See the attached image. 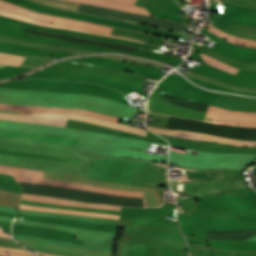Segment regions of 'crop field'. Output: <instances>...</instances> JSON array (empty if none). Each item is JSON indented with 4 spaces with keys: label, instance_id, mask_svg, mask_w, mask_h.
I'll return each instance as SVG.
<instances>
[{
    "label": "crop field",
    "instance_id": "crop-field-1",
    "mask_svg": "<svg viewBox=\"0 0 256 256\" xmlns=\"http://www.w3.org/2000/svg\"><path fill=\"white\" fill-rule=\"evenodd\" d=\"M33 115H43V116H53V117H63L70 118L90 123H95L123 131H128L132 133H137L141 135L147 134L146 130L138 129L130 126H126L119 123H114L106 120H101L93 117L75 115V114H59V113H33ZM0 119H9L16 120L22 122H30V123H38V124H46V125H54V126H62L65 127L67 119L62 118H52V117H42V116H32V115H18V114H8V113H0Z\"/></svg>",
    "mask_w": 256,
    "mask_h": 256
},
{
    "label": "crop field",
    "instance_id": "crop-field-2",
    "mask_svg": "<svg viewBox=\"0 0 256 256\" xmlns=\"http://www.w3.org/2000/svg\"><path fill=\"white\" fill-rule=\"evenodd\" d=\"M0 173L12 174V175H17V176L41 178L42 171H33V170H26V169H20V168H14V167L0 165ZM17 176H14V178L20 182L52 185V186L74 188V189L96 191V192L118 194V195H126V196H134V197H142V192L114 190V189L85 186V185H81V184L67 183V182H61V181H55V180L17 177Z\"/></svg>",
    "mask_w": 256,
    "mask_h": 256
},
{
    "label": "crop field",
    "instance_id": "crop-field-3",
    "mask_svg": "<svg viewBox=\"0 0 256 256\" xmlns=\"http://www.w3.org/2000/svg\"><path fill=\"white\" fill-rule=\"evenodd\" d=\"M0 13L7 14V15H10V16H14V17H17V18H21V19H24V20H27V21H31V22L40 24V25L60 27V28H66V29H71V30H76V31H82V32L97 34V35L109 36V35L95 33V32H91V31H87V30L67 27V26L42 23V22L30 19V18H26V17H23V16H19V15L13 14V13L6 12V11H3V10H0ZM3 14H0V20L6 21V22H10V23L20 24V25H23V26H26V27H30V28H34V29H38V30H41V31L63 33V34H69V35L85 37V38H91V39L102 40V41L124 43V44H129V45L137 46V47H140V48H141V45H142V43H139L140 41L139 42H133V41H136V40H133V41H127V40H131V39L121 40V39H126V38L115 39V38H120V37L109 38V37H114V36L103 37V36H97V35H92V34H87V33H81V32H76V31H71V30H66V29L40 26V25L31 23V22H27V21H24V20H21V19H17V18H14V17L3 15Z\"/></svg>",
    "mask_w": 256,
    "mask_h": 256
},
{
    "label": "crop field",
    "instance_id": "crop-field-4",
    "mask_svg": "<svg viewBox=\"0 0 256 256\" xmlns=\"http://www.w3.org/2000/svg\"><path fill=\"white\" fill-rule=\"evenodd\" d=\"M205 121L223 125L256 127V113L231 111L209 106Z\"/></svg>",
    "mask_w": 256,
    "mask_h": 256
},
{
    "label": "crop field",
    "instance_id": "crop-field-5",
    "mask_svg": "<svg viewBox=\"0 0 256 256\" xmlns=\"http://www.w3.org/2000/svg\"><path fill=\"white\" fill-rule=\"evenodd\" d=\"M0 137L61 145L69 148H74L79 141L78 138H73L69 136L51 135L42 132L13 131L5 129H0Z\"/></svg>",
    "mask_w": 256,
    "mask_h": 256
},
{
    "label": "crop field",
    "instance_id": "crop-field-6",
    "mask_svg": "<svg viewBox=\"0 0 256 256\" xmlns=\"http://www.w3.org/2000/svg\"><path fill=\"white\" fill-rule=\"evenodd\" d=\"M0 7L4 8V9H7V10L17 12V13H20V14H23V15H27V16H30V17H33V18H35L36 15L38 14V13L28 11L26 9H23V8L19 7V6H16V5L7 3V2H3V1H0ZM36 19L43 20V21L60 23V24H65V25H70V26H75V27L89 29V30H93V31H99V32L110 33L111 30H112L110 28L96 26V25H92V24L86 23V22H81V21H76V20H71V19H65V18H60V17H54V16H49V15H43V14H38Z\"/></svg>",
    "mask_w": 256,
    "mask_h": 256
},
{
    "label": "crop field",
    "instance_id": "crop-field-7",
    "mask_svg": "<svg viewBox=\"0 0 256 256\" xmlns=\"http://www.w3.org/2000/svg\"><path fill=\"white\" fill-rule=\"evenodd\" d=\"M24 246L34 251L46 252L63 256H112L113 253L68 248L51 244L19 240Z\"/></svg>",
    "mask_w": 256,
    "mask_h": 256
},
{
    "label": "crop field",
    "instance_id": "crop-field-8",
    "mask_svg": "<svg viewBox=\"0 0 256 256\" xmlns=\"http://www.w3.org/2000/svg\"><path fill=\"white\" fill-rule=\"evenodd\" d=\"M148 127V126H147ZM149 130L155 133H163V134H170L182 138L194 139V140H210L219 143L231 144V145H247V146H256V141H239V140H232L218 136H212L207 134L183 131V130H165V129H158L153 127H148Z\"/></svg>",
    "mask_w": 256,
    "mask_h": 256
},
{
    "label": "crop field",
    "instance_id": "crop-field-9",
    "mask_svg": "<svg viewBox=\"0 0 256 256\" xmlns=\"http://www.w3.org/2000/svg\"><path fill=\"white\" fill-rule=\"evenodd\" d=\"M22 199L46 202V203H52V204H64V205L82 206V207H90V208H105V209H115V210L134 211V212L157 211V208H125V207L102 205V204H86V203H79V202H73V201H67V200H61V199H55V198H49V197L27 195V194H23Z\"/></svg>",
    "mask_w": 256,
    "mask_h": 256
},
{
    "label": "crop field",
    "instance_id": "crop-field-10",
    "mask_svg": "<svg viewBox=\"0 0 256 256\" xmlns=\"http://www.w3.org/2000/svg\"><path fill=\"white\" fill-rule=\"evenodd\" d=\"M69 1L92 4V5H97V6H101V7L113 8V9H118V10H122V11H127V12H132V13L149 16V13L144 8L132 6V5L121 4V3H117V2H111V1H106V0H69Z\"/></svg>",
    "mask_w": 256,
    "mask_h": 256
},
{
    "label": "crop field",
    "instance_id": "crop-field-11",
    "mask_svg": "<svg viewBox=\"0 0 256 256\" xmlns=\"http://www.w3.org/2000/svg\"><path fill=\"white\" fill-rule=\"evenodd\" d=\"M19 208L22 209H30L37 211H50V212H59V213H67V214H75V215H85V216H94V217H103V218H113L118 219L119 216L115 215H107V214H99V213H90V212H81V211H72V210H62V209H51V208H42L30 205L21 204Z\"/></svg>",
    "mask_w": 256,
    "mask_h": 256
},
{
    "label": "crop field",
    "instance_id": "crop-field-12",
    "mask_svg": "<svg viewBox=\"0 0 256 256\" xmlns=\"http://www.w3.org/2000/svg\"><path fill=\"white\" fill-rule=\"evenodd\" d=\"M208 31L215 34V35H218V36L222 37L224 40L229 41L233 44L245 45V46H248V47L256 48V41L231 36V35H229L225 32H222V31H220V30H218V29H216L212 26H209Z\"/></svg>",
    "mask_w": 256,
    "mask_h": 256
},
{
    "label": "crop field",
    "instance_id": "crop-field-13",
    "mask_svg": "<svg viewBox=\"0 0 256 256\" xmlns=\"http://www.w3.org/2000/svg\"><path fill=\"white\" fill-rule=\"evenodd\" d=\"M48 109L47 107L39 106H27V105H11V104H0V110L17 111L23 114H29L32 112H42Z\"/></svg>",
    "mask_w": 256,
    "mask_h": 256
},
{
    "label": "crop field",
    "instance_id": "crop-field-14",
    "mask_svg": "<svg viewBox=\"0 0 256 256\" xmlns=\"http://www.w3.org/2000/svg\"><path fill=\"white\" fill-rule=\"evenodd\" d=\"M44 112H63V113H77V114H82V115H88V116H94L110 121L116 122L118 118L116 117H111V116H106V115H101V114H96V113H91L87 111H82V110H73V109H58V108H50Z\"/></svg>",
    "mask_w": 256,
    "mask_h": 256
},
{
    "label": "crop field",
    "instance_id": "crop-field-15",
    "mask_svg": "<svg viewBox=\"0 0 256 256\" xmlns=\"http://www.w3.org/2000/svg\"><path fill=\"white\" fill-rule=\"evenodd\" d=\"M42 4L68 9V10H75L78 3H72L64 0H33Z\"/></svg>",
    "mask_w": 256,
    "mask_h": 256
},
{
    "label": "crop field",
    "instance_id": "crop-field-16",
    "mask_svg": "<svg viewBox=\"0 0 256 256\" xmlns=\"http://www.w3.org/2000/svg\"><path fill=\"white\" fill-rule=\"evenodd\" d=\"M55 61L53 59H45V58H31V57H26L24 62L22 63L21 67L23 68H31V69H36L46 63Z\"/></svg>",
    "mask_w": 256,
    "mask_h": 256
},
{
    "label": "crop field",
    "instance_id": "crop-field-17",
    "mask_svg": "<svg viewBox=\"0 0 256 256\" xmlns=\"http://www.w3.org/2000/svg\"><path fill=\"white\" fill-rule=\"evenodd\" d=\"M200 55H201L203 61H205V62H207V63H209L211 65H214V66H216V67H218V68H220L222 70H225V71H227V72H229L231 74H233L234 71L236 70V68H234L232 66H229V65H227L225 63H222V62H220L218 60H215V59H213L211 57H208V56H206L204 54H200Z\"/></svg>",
    "mask_w": 256,
    "mask_h": 256
},
{
    "label": "crop field",
    "instance_id": "crop-field-18",
    "mask_svg": "<svg viewBox=\"0 0 256 256\" xmlns=\"http://www.w3.org/2000/svg\"><path fill=\"white\" fill-rule=\"evenodd\" d=\"M23 59L24 57L21 56L0 53V63L2 64L18 66Z\"/></svg>",
    "mask_w": 256,
    "mask_h": 256
},
{
    "label": "crop field",
    "instance_id": "crop-field-19",
    "mask_svg": "<svg viewBox=\"0 0 256 256\" xmlns=\"http://www.w3.org/2000/svg\"><path fill=\"white\" fill-rule=\"evenodd\" d=\"M0 246L25 249L24 247L20 246L16 241L4 238H0Z\"/></svg>",
    "mask_w": 256,
    "mask_h": 256
},
{
    "label": "crop field",
    "instance_id": "crop-field-20",
    "mask_svg": "<svg viewBox=\"0 0 256 256\" xmlns=\"http://www.w3.org/2000/svg\"><path fill=\"white\" fill-rule=\"evenodd\" d=\"M0 250H1V251H7V252L31 254V253L28 252V251L18 250V249H12V248H5V247H0Z\"/></svg>",
    "mask_w": 256,
    "mask_h": 256
},
{
    "label": "crop field",
    "instance_id": "crop-field-21",
    "mask_svg": "<svg viewBox=\"0 0 256 256\" xmlns=\"http://www.w3.org/2000/svg\"><path fill=\"white\" fill-rule=\"evenodd\" d=\"M0 255H4V256H28V255H21V254L7 253V252H1V251H0Z\"/></svg>",
    "mask_w": 256,
    "mask_h": 256
},
{
    "label": "crop field",
    "instance_id": "crop-field-22",
    "mask_svg": "<svg viewBox=\"0 0 256 256\" xmlns=\"http://www.w3.org/2000/svg\"><path fill=\"white\" fill-rule=\"evenodd\" d=\"M112 1H117L122 3L132 4V5H134L136 2V0H112Z\"/></svg>",
    "mask_w": 256,
    "mask_h": 256
},
{
    "label": "crop field",
    "instance_id": "crop-field-23",
    "mask_svg": "<svg viewBox=\"0 0 256 256\" xmlns=\"http://www.w3.org/2000/svg\"><path fill=\"white\" fill-rule=\"evenodd\" d=\"M40 256H56V255H50V254H45V253H40V252H35Z\"/></svg>",
    "mask_w": 256,
    "mask_h": 256
},
{
    "label": "crop field",
    "instance_id": "crop-field-24",
    "mask_svg": "<svg viewBox=\"0 0 256 256\" xmlns=\"http://www.w3.org/2000/svg\"><path fill=\"white\" fill-rule=\"evenodd\" d=\"M0 236H3V237H9L7 234H5L3 231L0 230ZM11 238V237H9Z\"/></svg>",
    "mask_w": 256,
    "mask_h": 256
},
{
    "label": "crop field",
    "instance_id": "crop-field-25",
    "mask_svg": "<svg viewBox=\"0 0 256 256\" xmlns=\"http://www.w3.org/2000/svg\"><path fill=\"white\" fill-rule=\"evenodd\" d=\"M2 66H4V65H0V67H2Z\"/></svg>",
    "mask_w": 256,
    "mask_h": 256
}]
</instances>
